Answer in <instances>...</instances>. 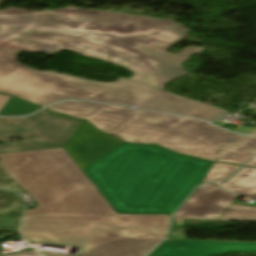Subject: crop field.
Segmentation results:
<instances>
[{"label": "crop field", "instance_id": "11", "mask_svg": "<svg viewBox=\"0 0 256 256\" xmlns=\"http://www.w3.org/2000/svg\"><path fill=\"white\" fill-rule=\"evenodd\" d=\"M228 251L256 252V243L167 240L150 256H213Z\"/></svg>", "mask_w": 256, "mask_h": 256}, {"label": "crop field", "instance_id": "13", "mask_svg": "<svg viewBox=\"0 0 256 256\" xmlns=\"http://www.w3.org/2000/svg\"><path fill=\"white\" fill-rule=\"evenodd\" d=\"M256 154V137H246L236 147H224L216 161L243 165Z\"/></svg>", "mask_w": 256, "mask_h": 256}, {"label": "crop field", "instance_id": "5", "mask_svg": "<svg viewBox=\"0 0 256 256\" xmlns=\"http://www.w3.org/2000/svg\"><path fill=\"white\" fill-rule=\"evenodd\" d=\"M17 52L0 50V92L46 105L66 98L134 106L139 103L130 86L114 89L91 82L78 84L17 63Z\"/></svg>", "mask_w": 256, "mask_h": 256}, {"label": "crop field", "instance_id": "12", "mask_svg": "<svg viewBox=\"0 0 256 256\" xmlns=\"http://www.w3.org/2000/svg\"><path fill=\"white\" fill-rule=\"evenodd\" d=\"M149 93L154 96L137 105L138 107L200 117L207 121L226 112L222 109L169 94L156 88Z\"/></svg>", "mask_w": 256, "mask_h": 256}, {"label": "crop field", "instance_id": "3", "mask_svg": "<svg viewBox=\"0 0 256 256\" xmlns=\"http://www.w3.org/2000/svg\"><path fill=\"white\" fill-rule=\"evenodd\" d=\"M48 109L85 119L131 143L236 146L245 138L198 120L132 108L70 101Z\"/></svg>", "mask_w": 256, "mask_h": 256}, {"label": "crop field", "instance_id": "21", "mask_svg": "<svg viewBox=\"0 0 256 256\" xmlns=\"http://www.w3.org/2000/svg\"><path fill=\"white\" fill-rule=\"evenodd\" d=\"M1 11L9 13L11 15L34 13L35 12V11H29V10H21V9H17V8H13V7H9V8L3 9Z\"/></svg>", "mask_w": 256, "mask_h": 256}, {"label": "crop field", "instance_id": "2", "mask_svg": "<svg viewBox=\"0 0 256 256\" xmlns=\"http://www.w3.org/2000/svg\"><path fill=\"white\" fill-rule=\"evenodd\" d=\"M211 164L158 146L121 143L83 170L119 213H173Z\"/></svg>", "mask_w": 256, "mask_h": 256}, {"label": "crop field", "instance_id": "15", "mask_svg": "<svg viewBox=\"0 0 256 256\" xmlns=\"http://www.w3.org/2000/svg\"><path fill=\"white\" fill-rule=\"evenodd\" d=\"M49 74H53L68 80H72L78 83H84L87 80H83V79H79V78H75V77H71V76H66V75H62V74H58V73H54V72H46ZM94 82V81H91ZM94 83H98V84H102V85H106V86H110V87H114V88H120L124 85H130L134 88H136L137 90L134 92L135 94V98L141 103L143 101H145L147 98L151 97L152 95L149 94L148 92L153 89L152 87L143 85V84H139L124 78L119 79L118 82L116 83H100V82H94Z\"/></svg>", "mask_w": 256, "mask_h": 256}, {"label": "crop field", "instance_id": "19", "mask_svg": "<svg viewBox=\"0 0 256 256\" xmlns=\"http://www.w3.org/2000/svg\"><path fill=\"white\" fill-rule=\"evenodd\" d=\"M238 167L240 166L214 162L213 165L210 167L206 177L203 179V181L204 182L221 181L227 178Z\"/></svg>", "mask_w": 256, "mask_h": 256}, {"label": "crop field", "instance_id": "6", "mask_svg": "<svg viewBox=\"0 0 256 256\" xmlns=\"http://www.w3.org/2000/svg\"><path fill=\"white\" fill-rule=\"evenodd\" d=\"M79 45L104 55L118 58L138 71L156 77L154 87L163 90L165 83L186 75L187 71L136 54L86 33L30 27L0 49L51 55L57 47L76 48Z\"/></svg>", "mask_w": 256, "mask_h": 256}, {"label": "crop field", "instance_id": "20", "mask_svg": "<svg viewBox=\"0 0 256 256\" xmlns=\"http://www.w3.org/2000/svg\"><path fill=\"white\" fill-rule=\"evenodd\" d=\"M23 236L29 241L60 244L56 240L45 234H23Z\"/></svg>", "mask_w": 256, "mask_h": 256}, {"label": "crop field", "instance_id": "14", "mask_svg": "<svg viewBox=\"0 0 256 256\" xmlns=\"http://www.w3.org/2000/svg\"><path fill=\"white\" fill-rule=\"evenodd\" d=\"M78 49H80V51H78ZM60 50H65L63 48H57L56 51L54 53H57L58 51ZM68 50H71L75 53H78V54H81V55H84V56H89V57H93V58H97V59H100V60H103V61H107V62H110V63H113V64H117L125 69H128L132 72H134V76L130 79V80H133V81H136V82H139V83H143V84H146V85H149V86H154L155 82H153V80H155L156 78L150 76V75H147V74H144V73H141V72H138L136 70H134L132 67H130L129 65L121 62L120 60L118 59H115V58H111V57H108V56H104V55H101L99 53H94V52H91L85 48H81V47H78L76 49H68ZM82 50H85V52H83ZM53 53V54H54ZM118 61L120 63H118ZM144 77H147L146 79Z\"/></svg>", "mask_w": 256, "mask_h": 256}, {"label": "crop field", "instance_id": "18", "mask_svg": "<svg viewBox=\"0 0 256 256\" xmlns=\"http://www.w3.org/2000/svg\"><path fill=\"white\" fill-rule=\"evenodd\" d=\"M38 109L40 108L21 100L10 98L4 108L0 111V116H21L30 114Z\"/></svg>", "mask_w": 256, "mask_h": 256}, {"label": "crop field", "instance_id": "24", "mask_svg": "<svg viewBox=\"0 0 256 256\" xmlns=\"http://www.w3.org/2000/svg\"><path fill=\"white\" fill-rule=\"evenodd\" d=\"M5 15H9V14H6L0 11V16H5Z\"/></svg>", "mask_w": 256, "mask_h": 256}, {"label": "crop field", "instance_id": "1", "mask_svg": "<svg viewBox=\"0 0 256 256\" xmlns=\"http://www.w3.org/2000/svg\"><path fill=\"white\" fill-rule=\"evenodd\" d=\"M0 165L38 204L22 233L82 247L80 256H145L169 226V215L117 214L63 148L3 154Z\"/></svg>", "mask_w": 256, "mask_h": 256}, {"label": "crop field", "instance_id": "16", "mask_svg": "<svg viewBox=\"0 0 256 256\" xmlns=\"http://www.w3.org/2000/svg\"><path fill=\"white\" fill-rule=\"evenodd\" d=\"M177 152L215 161L224 146L160 145Z\"/></svg>", "mask_w": 256, "mask_h": 256}, {"label": "crop field", "instance_id": "7", "mask_svg": "<svg viewBox=\"0 0 256 256\" xmlns=\"http://www.w3.org/2000/svg\"><path fill=\"white\" fill-rule=\"evenodd\" d=\"M82 122L46 110L22 119L0 118V142L24 139L0 145V154L63 147Z\"/></svg>", "mask_w": 256, "mask_h": 256}, {"label": "crop field", "instance_id": "25", "mask_svg": "<svg viewBox=\"0 0 256 256\" xmlns=\"http://www.w3.org/2000/svg\"><path fill=\"white\" fill-rule=\"evenodd\" d=\"M250 134H256V130H254L253 132H251Z\"/></svg>", "mask_w": 256, "mask_h": 256}, {"label": "crop field", "instance_id": "9", "mask_svg": "<svg viewBox=\"0 0 256 256\" xmlns=\"http://www.w3.org/2000/svg\"><path fill=\"white\" fill-rule=\"evenodd\" d=\"M50 11L63 12L93 18L81 29L127 34L133 32L158 30L175 21L147 18L135 15L92 11L78 8H63Z\"/></svg>", "mask_w": 256, "mask_h": 256}, {"label": "crop field", "instance_id": "10", "mask_svg": "<svg viewBox=\"0 0 256 256\" xmlns=\"http://www.w3.org/2000/svg\"><path fill=\"white\" fill-rule=\"evenodd\" d=\"M119 143L121 142L117 138L103 134L85 122L65 149L83 168Z\"/></svg>", "mask_w": 256, "mask_h": 256}, {"label": "crop field", "instance_id": "23", "mask_svg": "<svg viewBox=\"0 0 256 256\" xmlns=\"http://www.w3.org/2000/svg\"><path fill=\"white\" fill-rule=\"evenodd\" d=\"M9 100V97L0 95V110L2 107L6 104V102Z\"/></svg>", "mask_w": 256, "mask_h": 256}, {"label": "crop field", "instance_id": "22", "mask_svg": "<svg viewBox=\"0 0 256 256\" xmlns=\"http://www.w3.org/2000/svg\"><path fill=\"white\" fill-rule=\"evenodd\" d=\"M6 256H41L38 252L32 251V252H26V253H19V254H13V255H6Z\"/></svg>", "mask_w": 256, "mask_h": 256}, {"label": "crop field", "instance_id": "4", "mask_svg": "<svg viewBox=\"0 0 256 256\" xmlns=\"http://www.w3.org/2000/svg\"><path fill=\"white\" fill-rule=\"evenodd\" d=\"M86 17L57 12L34 13L17 16L0 17V46L30 26L50 29L86 32L108 42L114 43L136 53L148 56L173 66L182 68L184 61L192 54H200L205 48L189 47L175 55L165 52L179 43L188 33L182 29L185 25L173 23L159 31L133 33L127 35L93 32L79 29L88 21ZM153 48L154 50H152ZM165 53L167 55H165ZM153 56V57H151ZM180 63H182L180 65ZM183 69V68H182Z\"/></svg>", "mask_w": 256, "mask_h": 256}, {"label": "crop field", "instance_id": "17", "mask_svg": "<svg viewBox=\"0 0 256 256\" xmlns=\"http://www.w3.org/2000/svg\"><path fill=\"white\" fill-rule=\"evenodd\" d=\"M220 220L256 221V208L232 203Z\"/></svg>", "mask_w": 256, "mask_h": 256}, {"label": "crop field", "instance_id": "8", "mask_svg": "<svg viewBox=\"0 0 256 256\" xmlns=\"http://www.w3.org/2000/svg\"><path fill=\"white\" fill-rule=\"evenodd\" d=\"M235 198L215 184L198 187L174 215V228L169 238H185V232H177L178 227L185 226V219L219 220Z\"/></svg>", "mask_w": 256, "mask_h": 256}]
</instances>
